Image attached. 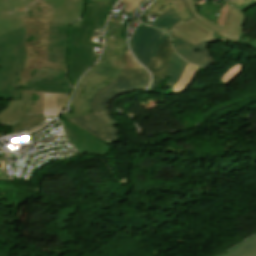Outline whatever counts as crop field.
<instances>
[{
  "label": "crop field",
  "instance_id": "crop-field-21",
  "mask_svg": "<svg viewBox=\"0 0 256 256\" xmlns=\"http://www.w3.org/2000/svg\"><path fill=\"white\" fill-rule=\"evenodd\" d=\"M198 68L199 66L191 65L188 63L180 81L173 87L174 90L172 93H178V94L182 93L185 90V88L188 86L190 80L192 79L193 75L198 70Z\"/></svg>",
  "mask_w": 256,
  "mask_h": 256
},
{
  "label": "crop field",
  "instance_id": "crop-field-13",
  "mask_svg": "<svg viewBox=\"0 0 256 256\" xmlns=\"http://www.w3.org/2000/svg\"><path fill=\"white\" fill-rule=\"evenodd\" d=\"M69 26L51 23L49 59L51 62L68 63L67 32Z\"/></svg>",
  "mask_w": 256,
  "mask_h": 256
},
{
  "label": "crop field",
  "instance_id": "crop-field-29",
  "mask_svg": "<svg viewBox=\"0 0 256 256\" xmlns=\"http://www.w3.org/2000/svg\"><path fill=\"white\" fill-rule=\"evenodd\" d=\"M226 1H228V0H226Z\"/></svg>",
  "mask_w": 256,
  "mask_h": 256
},
{
  "label": "crop field",
  "instance_id": "crop-field-19",
  "mask_svg": "<svg viewBox=\"0 0 256 256\" xmlns=\"http://www.w3.org/2000/svg\"><path fill=\"white\" fill-rule=\"evenodd\" d=\"M180 19L181 18L171 9L159 18H157L151 25L167 32Z\"/></svg>",
  "mask_w": 256,
  "mask_h": 256
},
{
  "label": "crop field",
  "instance_id": "crop-field-1",
  "mask_svg": "<svg viewBox=\"0 0 256 256\" xmlns=\"http://www.w3.org/2000/svg\"><path fill=\"white\" fill-rule=\"evenodd\" d=\"M124 61L127 65L117 79L94 96L92 100L93 114L68 120L107 143L119 140L116 127L118 123L112 119L108 110L110 100L119 94L145 89L150 84V75L135 61L128 48Z\"/></svg>",
  "mask_w": 256,
  "mask_h": 256
},
{
  "label": "crop field",
  "instance_id": "crop-field-15",
  "mask_svg": "<svg viewBox=\"0 0 256 256\" xmlns=\"http://www.w3.org/2000/svg\"><path fill=\"white\" fill-rule=\"evenodd\" d=\"M171 8L184 20L192 18L181 0H156L147 11L158 17Z\"/></svg>",
  "mask_w": 256,
  "mask_h": 256
},
{
  "label": "crop field",
  "instance_id": "crop-field-11",
  "mask_svg": "<svg viewBox=\"0 0 256 256\" xmlns=\"http://www.w3.org/2000/svg\"><path fill=\"white\" fill-rule=\"evenodd\" d=\"M164 34L165 33L155 28L142 24L136 29L131 41L129 40L133 53L147 68L149 66L152 47L154 43Z\"/></svg>",
  "mask_w": 256,
  "mask_h": 256
},
{
  "label": "crop field",
  "instance_id": "crop-field-14",
  "mask_svg": "<svg viewBox=\"0 0 256 256\" xmlns=\"http://www.w3.org/2000/svg\"><path fill=\"white\" fill-rule=\"evenodd\" d=\"M173 51L170 37L159 47L156 59L151 58L149 70L153 75L152 86L146 91H154L165 77L170 55Z\"/></svg>",
  "mask_w": 256,
  "mask_h": 256
},
{
  "label": "crop field",
  "instance_id": "crop-field-28",
  "mask_svg": "<svg viewBox=\"0 0 256 256\" xmlns=\"http://www.w3.org/2000/svg\"><path fill=\"white\" fill-rule=\"evenodd\" d=\"M255 4H256V1H255V2H252V3H248V4H246V5L242 6V7H240L239 9L243 11V10H245V9H247V8H249V7L253 6V5H255Z\"/></svg>",
  "mask_w": 256,
  "mask_h": 256
},
{
  "label": "crop field",
  "instance_id": "crop-field-17",
  "mask_svg": "<svg viewBox=\"0 0 256 256\" xmlns=\"http://www.w3.org/2000/svg\"><path fill=\"white\" fill-rule=\"evenodd\" d=\"M187 62L182 60L176 53L173 51L169 66L167 69L166 75L171 76L166 85L173 87L180 79Z\"/></svg>",
  "mask_w": 256,
  "mask_h": 256
},
{
  "label": "crop field",
  "instance_id": "crop-field-23",
  "mask_svg": "<svg viewBox=\"0 0 256 256\" xmlns=\"http://www.w3.org/2000/svg\"><path fill=\"white\" fill-rule=\"evenodd\" d=\"M145 0H121V2L127 4L125 9L124 14L128 15L131 17V15L134 13L137 7L141 5L142 2Z\"/></svg>",
  "mask_w": 256,
  "mask_h": 256
},
{
  "label": "crop field",
  "instance_id": "crop-field-3",
  "mask_svg": "<svg viewBox=\"0 0 256 256\" xmlns=\"http://www.w3.org/2000/svg\"><path fill=\"white\" fill-rule=\"evenodd\" d=\"M182 1L193 18L187 21L181 19L167 33L193 46L205 41L211 44L217 42L237 43L244 35L242 28L245 15L233 6L227 15L225 27L222 28L198 14L194 0Z\"/></svg>",
  "mask_w": 256,
  "mask_h": 256
},
{
  "label": "crop field",
  "instance_id": "crop-field-16",
  "mask_svg": "<svg viewBox=\"0 0 256 256\" xmlns=\"http://www.w3.org/2000/svg\"><path fill=\"white\" fill-rule=\"evenodd\" d=\"M67 100L68 95L44 93V114L56 117L66 106Z\"/></svg>",
  "mask_w": 256,
  "mask_h": 256
},
{
  "label": "crop field",
  "instance_id": "crop-field-24",
  "mask_svg": "<svg viewBox=\"0 0 256 256\" xmlns=\"http://www.w3.org/2000/svg\"><path fill=\"white\" fill-rule=\"evenodd\" d=\"M243 65L239 64L232 67L223 77L222 82L225 85L228 83L232 78H234L238 73L242 71Z\"/></svg>",
  "mask_w": 256,
  "mask_h": 256
},
{
  "label": "crop field",
  "instance_id": "crop-field-18",
  "mask_svg": "<svg viewBox=\"0 0 256 256\" xmlns=\"http://www.w3.org/2000/svg\"><path fill=\"white\" fill-rule=\"evenodd\" d=\"M117 1L118 0H110L107 5L102 4V3L100 4L95 31H94L93 36L90 41L96 42L97 38H103V28L105 25V21L110 13L112 7L114 6V4Z\"/></svg>",
  "mask_w": 256,
  "mask_h": 256
},
{
  "label": "crop field",
  "instance_id": "crop-field-12",
  "mask_svg": "<svg viewBox=\"0 0 256 256\" xmlns=\"http://www.w3.org/2000/svg\"><path fill=\"white\" fill-rule=\"evenodd\" d=\"M171 38L173 41V47L185 60L204 67H208L215 62L209 50L207 49V42L192 47L173 36H171Z\"/></svg>",
  "mask_w": 256,
  "mask_h": 256
},
{
  "label": "crop field",
  "instance_id": "crop-field-26",
  "mask_svg": "<svg viewBox=\"0 0 256 256\" xmlns=\"http://www.w3.org/2000/svg\"><path fill=\"white\" fill-rule=\"evenodd\" d=\"M167 37H169V36H168L167 34H165L164 36H162V37L156 42V44H155L154 47H153V51H152L151 57H154V58H155L156 52H157V49H158L159 45H160Z\"/></svg>",
  "mask_w": 256,
  "mask_h": 256
},
{
  "label": "crop field",
  "instance_id": "crop-field-25",
  "mask_svg": "<svg viewBox=\"0 0 256 256\" xmlns=\"http://www.w3.org/2000/svg\"><path fill=\"white\" fill-rule=\"evenodd\" d=\"M230 8H231L230 5L224 3V5L222 6V9L220 11L217 24H219V25L224 27L226 15H227V13H228Z\"/></svg>",
  "mask_w": 256,
  "mask_h": 256
},
{
  "label": "crop field",
  "instance_id": "crop-field-22",
  "mask_svg": "<svg viewBox=\"0 0 256 256\" xmlns=\"http://www.w3.org/2000/svg\"><path fill=\"white\" fill-rule=\"evenodd\" d=\"M87 3L93 4L92 23H91V29H87L86 30V33L84 35V38H83V41H82L81 44L92 46V47H97V48H101L102 49L103 45L89 42V40L91 38V35H92L93 31H94L99 3L98 2H94V1H90V0H87Z\"/></svg>",
  "mask_w": 256,
  "mask_h": 256
},
{
  "label": "crop field",
  "instance_id": "crop-field-8",
  "mask_svg": "<svg viewBox=\"0 0 256 256\" xmlns=\"http://www.w3.org/2000/svg\"><path fill=\"white\" fill-rule=\"evenodd\" d=\"M22 100H11L9 105L0 112V123L6 124L17 120L27 113L43 116V93L27 88H18ZM30 93H37L39 100L32 102Z\"/></svg>",
  "mask_w": 256,
  "mask_h": 256
},
{
  "label": "crop field",
  "instance_id": "crop-field-2",
  "mask_svg": "<svg viewBox=\"0 0 256 256\" xmlns=\"http://www.w3.org/2000/svg\"><path fill=\"white\" fill-rule=\"evenodd\" d=\"M126 47V41L106 39L100 60L81 78L73 93L70 106L74 108L75 118L92 113V97L113 82L126 65L123 61Z\"/></svg>",
  "mask_w": 256,
  "mask_h": 256
},
{
  "label": "crop field",
  "instance_id": "crop-field-7",
  "mask_svg": "<svg viewBox=\"0 0 256 256\" xmlns=\"http://www.w3.org/2000/svg\"><path fill=\"white\" fill-rule=\"evenodd\" d=\"M91 10L92 5L87 4L81 28L71 26L68 32V79L73 85L100 55L93 52L94 48L80 45L86 28H90Z\"/></svg>",
  "mask_w": 256,
  "mask_h": 256
},
{
  "label": "crop field",
  "instance_id": "crop-field-27",
  "mask_svg": "<svg viewBox=\"0 0 256 256\" xmlns=\"http://www.w3.org/2000/svg\"><path fill=\"white\" fill-rule=\"evenodd\" d=\"M247 47L256 50V40L253 39Z\"/></svg>",
  "mask_w": 256,
  "mask_h": 256
},
{
  "label": "crop field",
  "instance_id": "crop-field-6",
  "mask_svg": "<svg viewBox=\"0 0 256 256\" xmlns=\"http://www.w3.org/2000/svg\"><path fill=\"white\" fill-rule=\"evenodd\" d=\"M25 33L23 26L0 36V100L21 99L13 88L26 58Z\"/></svg>",
  "mask_w": 256,
  "mask_h": 256
},
{
  "label": "crop field",
  "instance_id": "crop-field-4",
  "mask_svg": "<svg viewBox=\"0 0 256 256\" xmlns=\"http://www.w3.org/2000/svg\"><path fill=\"white\" fill-rule=\"evenodd\" d=\"M22 20L27 27L25 39L27 58L17 85H26L41 66L66 70L67 77V65L47 62L50 21H52L51 8L44 2L38 1Z\"/></svg>",
  "mask_w": 256,
  "mask_h": 256
},
{
  "label": "crop field",
  "instance_id": "crop-field-20",
  "mask_svg": "<svg viewBox=\"0 0 256 256\" xmlns=\"http://www.w3.org/2000/svg\"><path fill=\"white\" fill-rule=\"evenodd\" d=\"M224 256H256V236Z\"/></svg>",
  "mask_w": 256,
  "mask_h": 256
},
{
  "label": "crop field",
  "instance_id": "crop-field-10",
  "mask_svg": "<svg viewBox=\"0 0 256 256\" xmlns=\"http://www.w3.org/2000/svg\"><path fill=\"white\" fill-rule=\"evenodd\" d=\"M62 122L67 138L80 153L104 156L109 152L110 148L101 141L68 121Z\"/></svg>",
  "mask_w": 256,
  "mask_h": 256
},
{
  "label": "crop field",
  "instance_id": "crop-field-9",
  "mask_svg": "<svg viewBox=\"0 0 256 256\" xmlns=\"http://www.w3.org/2000/svg\"><path fill=\"white\" fill-rule=\"evenodd\" d=\"M70 83L65 80V71L41 67L26 86L42 92L71 93Z\"/></svg>",
  "mask_w": 256,
  "mask_h": 256
},
{
  "label": "crop field",
  "instance_id": "crop-field-5",
  "mask_svg": "<svg viewBox=\"0 0 256 256\" xmlns=\"http://www.w3.org/2000/svg\"><path fill=\"white\" fill-rule=\"evenodd\" d=\"M38 0H0V35L23 26L21 18ZM53 9V22L80 27L86 0H40ZM107 4L109 0H94Z\"/></svg>",
  "mask_w": 256,
  "mask_h": 256
}]
</instances>
